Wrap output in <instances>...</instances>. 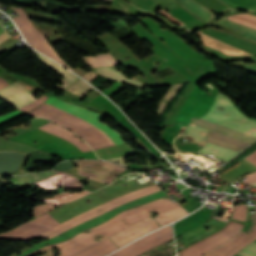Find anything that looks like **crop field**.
I'll use <instances>...</instances> for the list:
<instances>
[{"label":"crop field","mask_w":256,"mask_h":256,"mask_svg":"<svg viewBox=\"0 0 256 256\" xmlns=\"http://www.w3.org/2000/svg\"><path fill=\"white\" fill-rule=\"evenodd\" d=\"M217 100L213 108L205 116H202L192 123L197 124L188 127L186 137L193 138L196 143L204 144V133H208L215 124H217L213 130L234 137L249 144L256 141V120L249 119L243 116L240 111L233 105V103L224 95L218 94ZM191 125V124H190ZM211 130L208 139L224 144L239 151L245 149L249 144L228 137L221 133ZM250 131V134L246 132ZM206 139V145L200 150V152L207 154L211 157L227 162L234 157L239 151L223 146L216 142Z\"/></svg>","instance_id":"1"},{"label":"crop field","mask_w":256,"mask_h":256,"mask_svg":"<svg viewBox=\"0 0 256 256\" xmlns=\"http://www.w3.org/2000/svg\"><path fill=\"white\" fill-rule=\"evenodd\" d=\"M47 104L45 105V103ZM65 126L79 134L94 150L124 144L121 135L99 122L102 115L50 97L41 106L29 112Z\"/></svg>","instance_id":"2"},{"label":"crop field","mask_w":256,"mask_h":256,"mask_svg":"<svg viewBox=\"0 0 256 256\" xmlns=\"http://www.w3.org/2000/svg\"><path fill=\"white\" fill-rule=\"evenodd\" d=\"M161 191V189L155 184L153 186L138 190V191H134L131 193H128L124 196H120L117 197L111 201L106 202L105 204L87 211L83 214H80L64 223H62L61 225H59V222L54 220L50 214L47 212L46 214L26 223L21 225L20 227H18L17 229L7 233V234H3L0 235V239H16V240H28V239H32L35 238V236L40 235L48 230V232L37 236L40 238H47V239H51L54 236L86 221L89 220L95 216H98L102 213H105L121 204L124 203H128L131 202L137 198L155 193Z\"/></svg>","instance_id":"3"},{"label":"crop field","mask_w":256,"mask_h":256,"mask_svg":"<svg viewBox=\"0 0 256 256\" xmlns=\"http://www.w3.org/2000/svg\"><path fill=\"white\" fill-rule=\"evenodd\" d=\"M176 205H178L177 202L172 203L169 199H161L156 202H153V203H150V204H147V205L135 208V209L124 211V212L120 213L119 215H117L112 220H110L109 222L90 229L89 231L91 233H89V234L81 233L67 242H63V243H59V244L51 245L49 247L42 248V249L35 251L26 256H33V255H35L45 249L51 248L53 246H55L61 250L60 256H69L83 248H86L92 244L99 242V241H94V236L97 234L104 236L101 238L103 240V239L133 225L134 223L140 221L141 219L151 216L150 212L152 210L154 212H156L157 214H159V213H161L169 208H172Z\"/></svg>","instance_id":"4"},{"label":"crop field","mask_w":256,"mask_h":256,"mask_svg":"<svg viewBox=\"0 0 256 256\" xmlns=\"http://www.w3.org/2000/svg\"><path fill=\"white\" fill-rule=\"evenodd\" d=\"M21 16L14 18L15 23L21 29L26 40L42 53L56 59L63 65L74 70L56 52L49 41L32 25L22 8L13 7Z\"/></svg>","instance_id":"5"},{"label":"crop field","mask_w":256,"mask_h":256,"mask_svg":"<svg viewBox=\"0 0 256 256\" xmlns=\"http://www.w3.org/2000/svg\"><path fill=\"white\" fill-rule=\"evenodd\" d=\"M164 195H166V193L161 191V192H158V193H155V194L137 199V200H135L131 203L121 205V206H119V207H117V208H115V209H113V210H111V211H109L105 214H102L98 217H95V218L89 220V221H86V222L74 227L73 229H71V230H69V231L51 239V240L39 243V244L34 245V246H40V245L62 242V241L74 236L75 234H77V233H79V232H81V231H83V230H85L89 227H93V226H96V225H99V224L105 222L106 220L110 219L111 217H113L114 215H116L117 213H119L123 210H126V209H129V208L144 204V203L152 201V200H155V199H157L161 196H164Z\"/></svg>","instance_id":"6"},{"label":"crop field","mask_w":256,"mask_h":256,"mask_svg":"<svg viewBox=\"0 0 256 256\" xmlns=\"http://www.w3.org/2000/svg\"><path fill=\"white\" fill-rule=\"evenodd\" d=\"M230 223L232 226H230ZM233 224L236 226L233 227ZM243 227V224L230 221L228 225L221 231L214 233L209 238L202 240L184 251H182L178 256H202L206 252L222 245L223 243L230 240L235 236Z\"/></svg>","instance_id":"7"},{"label":"crop field","mask_w":256,"mask_h":256,"mask_svg":"<svg viewBox=\"0 0 256 256\" xmlns=\"http://www.w3.org/2000/svg\"><path fill=\"white\" fill-rule=\"evenodd\" d=\"M78 173L92 180L111 182L116 175L125 171L126 168L114 163L102 161H77Z\"/></svg>","instance_id":"8"},{"label":"crop field","mask_w":256,"mask_h":256,"mask_svg":"<svg viewBox=\"0 0 256 256\" xmlns=\"http://www.w3.org/2000/svg\"><path fill=\"white\" fill-rule=\"evenodd\" d=\"M173 239L172 228L168 226L138 242L126 247L112 256H139L151 248Z\"/></svg>","instance_id":"9"},{"label":"crop field","mask_w":256,"mask_h":256,"mask_svg":"<svg viewBox=\"0 0 256 256\" xmlns=\"http://www.w3.org/2000/svg\"><path fill=\"white\" fill-rule=\"evenodd\" d=\"M159 227L157 222L152 218H146L133 226L127 228L126 230L119 232L111 237H109L113 242H115L119 247L147 234L151 230Z\"/></svg>","instance_id":"10"},{"label":"crop field","mask_w":256,"mask_h":256,"mask_svg":"<svg viewBox=\"0 0 256 256\" xmlns=\"http://www.w3.org/2000/svg\"><path fill=\"white\" fill-rule=\"evenodd\" d=\"M0 96L18 109L35 101L32 94H30L23 85L17 82L1 90Z\"/></svg>","instance_id":"11"},{"label":"crop field","mask_w":256,"mask_h":256,"mask_svg":"<svg viewBox=\"0 0 256 256\" xmlns=\"http://www.w3.org/2000/svg\"><path fill=\"white\" fill-rule=\"evenodd\" d=\"M205 34H208L216 39H219L223 42H226L230 45H233L237 48H240L244 51H247L251 54H255L256 55V43L240 38L236 35H233L229 32L226 31H222L219 29H215V28H206L203 30H199Z\"/></svg>","instance_id":"12"},{"label":"crop field","mask_w":256,"mask_h":256,"mask_svg":"<svg viewBox=\"0 0 256 256\" xmlns=\"http://www.w3.org/2000/svg\"><path fill=\"white\" fill-rule=\"evenodd\" d=\"M89 193L90 192H88V191H82L80 193L75 192L73 194H70V191H69L67 193H65V192L61 193L53 198L40 199L41 201L46 202V204L35 206L34 218L53 209L54 206L71 202V201H73L79 197H82L84 195H87Z\"/></svg>","instance_id":"13"},{"label":"crop field","mask_w":256,"mask_h":256,"mask_svg":"<svg viewBox=\"0 0 256 256\" xmlns=\"http://www.w3.org/2000/svg\"><path fill=\"white\" fill-rule=\"evenodd\" d=\"M251 241H253L251 238L240 232L225 245L219 247L211 253L215 254L216 256H233L236 252L241 250Z\"/></svg>","instance_id":"14"},{"label":"crop field","mask_w":256,"mask_h":256,"mask_svg":"<svg viewBox=\"0 0 256 256\" xmlns=\"http://www.w3.org/2000/svg\"><path fill=\"white\" fill-rule=\"evenodd\" d=\"M33 53L46 66H48L49 68H51L52 70H54L55 72H57L58 74H60L61 76L64 77L56 85H54V87L66 91L75 81L78 80V78L76 76H74L73 74H71L70 72L65 70L60 65L54 63L53 61H51V60L41 56L40 54H38V53H36L34 51H33Z\"/></svg>","instance_id":"15"},{"label":"crop field","mask_w":256,"mask_h":256,"mask_svg":"<svg viewBox=\"0 0 256 256\" xmlns=\"http://www.w3.org/2000/svg\"><path fill=\"white\" fill-rule=\"evenodd\" d=\"M75 177V176H74ZM71 175L61 173L44 181L37 183L42 188H55L65 184L67 189H79L83 185Z\"/></svg>","instance_id":"16"},{"label":"crop field","mask_w":256,"mask_h":256,"mask_svg":"<svg viewBox=\"0 0 256 256\" xmlns=\"http://www.w3.org/2000/svg\"><path fill=\"white\" fill-rule=\"evenodd\" d=\"M39 129L44 130L49 133H52L54 135H57L65 140L75 144L82 152H87V151L92 150L88 145H86L85 143H82L79 138H74L73 136L75 134H73L72 132H70L67 129L58 127L52 123H48V124L40 127Z\"/></svg>","instance_id":"17"},{"label":"crop field","mask_w":256,"mask_h":256,"mask_svg":"<svg viewBox=\"0 0 256 256\" xmlns=\"http://www.w3.org/2000/svg\"><path fill=\"white\" fill-rule=\"evenodd\" d=\"M96 73L101 74L107 78L113 79L115 81L124 82L139 90L146 86L135 76L131 79L126 78L123 71H117L115 66L96 69Z\"/></svg>","instance_id":"18"},{"label":"crop field","mask_w":256,"mask_h":256,"mask_svg":"<svg viewBox=\"0 0 256 256\" xmlns=\"http://www.w3.org/2000/svg\"><path fill=\"white\" fill-rule=\"evenodd\" d=\"M198 34L202 40V43H204L205 45H207L213 49H216L226 55H251L247 52H244L240 49H237L233 46H230L226 43L216 40L210 36H207L199 31H198Z\"/></svg>","instance_id":"19"},{"label":"crop field","mask_w":256,"mask_h":256,"mask_svg":"<svg viewBox=\"0 0 256 256\" xmlns=\"http://www.w3.org/2000/svg\"><path fill=\"white\" fill-rule=\"evenodd\" d=\"M117 248L119 247L107 238L104 241L83 249L71 256H105Z\"/></svg>","instance_id":"20"},{"label":"crop field","mask_w":256,"mask_h":256,"mask_svg":"<svg viewBox=\"0 0 256 256\" xmlns=\"http://www.w3.org/2000/svg\"><path fill=\"white\" fill-rule=\"evenodd\" d=\"M180 5H182L185 9L202 19L203 21H208L214 16L211 12L200 6L194 0H175Z\"/></svg>","instance_id":"21"},{"label":"crop field","mask_w":256,"mask_h":256,"mask_svg":"<svg viewBox=\"0 0 256 256\" xmlns=\"http://www.w3.org/2000/svg\"><path fill=\"white\" fill-rule=\"evenodd\" d=\"M135 33H137L139 35V37L142 40H145V38H143L134 28H132ZM152 43V42H151ZM159 58H161L164 63L166 65H168L170 68H172L175 72H177L179 75H181L182 77H184L185 79H187L188 81L196 84L197 82H199L200 80L192 77L191 75H189L188 73H186L185 71H183L181 68H179L178 66L174 65L157 47L153 46L150 48Z\"/></svg>","instance_id":"22"},{"label":"crop field","mask_w":256,"mask_h":256,"mask_svg":"<svg viewBox=\"0 0 256 256\" xmlns=\"http://www.w3.org/2000/svg\"><path fill=\"white\" fill-rule=\"evenodd\" d=\"M189 214L184 208H182L180 205L177 207H174L170 210H167L158 216L154 217L158 223L163 226L173 220H176L182 216H185Z\"/></svg>","instance_id":"23"},{"label":"crop field","mask_w":256,"mask_h":256,"mask_svg":"<svg viewBox=\"0 0 256 256\" xmlns=\"http://www.w3.org/2000/svg\"><path fill=\"white\" fill-rule=\"evenodd\" d=\"M217 23H219V24H221L223 26L235 29V30L246 32L248 34L245 36V38L250 39V40L256 42V29H253V28H250V27L238 24L236 22H233V21H230V20H227V19H224V18L219 20Z\"/></svg>","instance_id":"24"},{"label":"crop field","mask_w":256,"mask_h":256,"mask_svg":"<svg viewBox=\"0 0 256 256\" xmlns=\"http://www.w3.org/2000/svg\"><path fill=\"white\" fill-rule=\"evenodd\" d=\"M171 15L182 21L183 23L191 26L194 24L202 23L198 18H196L194 15H192L190 12L186 11L185 9L179 7L175 10H172L170 12Z\"/></svg>","instance_id":"25"},{"label":"crop field","mask_w":256,"mask_h":256,"mask_svg":"<svg viewBox=\"0 0 256 256\" xmlns=\"http://www.w3.org/2000/svg\"><path fill=\"white\" fill-rule=\"evenodd\" d=\"M33 24L46 36L47 39H49L52 42V44L64 41V38L59 33L57 28L51 27V26H48L45 24H35V23H33ZM55 32H58L60 35L55 36V34H54Z\"/></svg>","instance_id":"26"},{"label":"crop field","mask_w":256,"mask_h":256,"mask_svg":"<svg viewBox=\"0 0 256 256\" xmlns=\"http://www.w3.org/2000/svg\"><path fill=\"white\" fill-rule=\"evenodd\" d=\"M228 19L256 28V17L251 15L237 14L235 16L228 17Z\"/></svg>","instance_id":"27"},{"label":"crop field","mask_w":256,"mask_h":256,"mask_svg":"<svg viewBox=\"0 0 256 256\" xmlns=\"http://www.w3.org/2000/svg\"><path fill=\"white\" fill-rule=\"evenodd\" d=\"M28 17L31 18H36V19H41V20H46V21H52V22H57V23H62L59 19L52 17L51 15L39 11H35L32 9L24 8ZM63 24V23H62Z\"/></svg>","instance_id":"28"},{"label":"crop field","mask_w":256,"mask_h":256,"mask_svg":"<svg viewBox=\"0 0 256 256\" xmlns=\"http://www.w3.org/2000/svg\"><path fill=\"white\" fill-rule=\"evenodd\" d=\"M93 89L91 86H89L88 84L84 83L83 81H81L80 79L73 84L68 91L76 94V95H80V96H84L86 94L87 91Z\"/></svg>","instance_id":"29"},{"label":"crop field","mask_w":256,"mask_h":256,"mask_svg":"<svg viewBox=\"0 0 256 256\" xmlns=\"http://www.w3.org/2000/svg\"><path fill=\"white\" fill-rule=\"evenodd\" d=\"M240 214V216H238ZM232 219L246 221V204L235 205Z\"/></svg>","instance_id":"30"},{"label":"crop field","mask_w":256,"mask_h":256,"mask_svg":"<svg viewBox=\"0 0 256 256\" xmlns=\"http://www.w3.org/2000/svg\"><path fill=\"white\" fill-rule=\"evenodd\" d=\"M180 86H181V84L173 85L172 88L169 90V92L166 94V96L163 99V101L166 100V102L164 103L162 101V103L160 105V109H159V115L161 114L164 107L167 105V103L170 101V99L173 97V95L176 93V91L179 89Z\"/></svg>","instance_id":"31"},{"label":"crop field","mask_w":256,"mask_h":256,"mask_svg":"<svg viewBox=\"0 0 256 256\" xmlns=\"http://www.w3.org/2000/svg\"><path fill=\"white\" fill-rule=\"evenodd\" d=\"M98 58L102 64V66H109V65H117L119 64L116 62L110 54H105V55H98Z\"/></svg>","instance_id":"32"},{"label":"crop field","mask_w":256,"mask_h":256,"mask_svg":"<svg viewBox=\"0 0 256 256\" xmlns=\"http://www.w3.org/2000/svg\"><path fill=\"white\" fill-rule=\"evenodd\" d=\"M241 256H256V244L252 243L238 252Z\"/></svg>","instance_id":"33"},{"label":"crop field","mask_w":256,"mask_h":256,"mask_svg":"<svg viewBox=\"0 0 256 256\" xmlns=\"http://www.w3.org/2000/svg\"><path fill=\"white\" fill-rule=\"evenodd\" d=\"M86 66L90 68L101 67L97 57H84Z\"/></svg>","instance_id":"34"},{"label":"crop field","mask_w":256,"mask_h":256,"mask_svg":"<svg viewBox=\"0 0 256 256\" xmlns=\"http://www.w3.org/2000/svg\"><path fill=\"white\" fill-rule=\"evenodd\" d=\"M48 97H44L42 96L39 100L33 102L32 104H30L29 106H26L20 110L24 111V112H29L31 111L32 109L38 107L40 104H42Z\"/></svg>","instance_id":"35"},{"label":"crop field","mask_w":256,"mask_h":256,"mask_svg":"<svg viewBox=\"0 0 256 256\" xmlns=\"http://www.w3.org/2000/svg\"><path fill=\"white\" fill-rule=\"evenodd\" d=\"M21 114H23V113H21V112L15 110V111L10 112V113H8V114L1 115V116H0V123H1V122H5V121H8V120H10V119H12V118H14V117H16V116H18V115H21Z\"/></svg>","instance_id":"36"},{"label":"crop field","mask_w":256,"mask_h":256,"mask_svg":"<svg viewBox=\"0 0 256 256\" xmlns=\"http://www.w3.org/2000/svg\"><path fill=\"white\" fill-rule=\"evenodd\" d=\"M244 232L255 239L256 238V223H252L251 226Z\"/></svg>","instance_id":"37"},{"label":"crop field","mask_w":256,"mask_h":256,"mask_svg":"<svg viewBox=\"0 0 256 256\" xmlns=\"http://www.w3.org/2000/svg\"><path fill=\"white\" fill-rule=\"evenodd\" d=\"M158 13H160V14H162V15L168 17V18H169L173 23H175V24H178V25H181V26L185 25V24H183L182 22H180V21H178L177 19H175V18H174L173 16H171L170 14L164 12L162 9L159 10Z\"/></svg>","instance_id":"38"},{"label":"crop field","mask_w":256,"mask_h":256,"mask_svg":"<svg viewBox=\"0 0 256 256\" xmlns=\"http://www.w3.org/2000/svg\"><path fill=\"white\" fill-rule=\"evenodd\" d=\"M248 179H246V180H244V181H242V182H244V183H246V184H249V183H252V182H256V173H253V174H251V175H248V176H246Z\"/></svg>","instance_id":"39"},{"label":"crop field","mask_w":256,"mask_h":256,"mask_svg":"<svg viewBox=\"0 0 256 256\" xmlns=\"http://www.w3.org/2000/svg\"><path fill=\"white\" fill-rule=\"evenodd\" d=\"M3 32H5L4 30H3V28H2V26H1V24H0V34H2ZM10 36H8L7 34H6V32L5 33H3L2 35H0V43H2L3 41H5L7 38H9Z\"/></svg>","instance_id":"40"},{"label":"crop field","mask_w":256,"mask_h":256,"mask_svg":"<svg viewBox=\"0 0 256 256\" xmlns=\"http://www.w3.org/2000/svg\"><path fill=\"white\" fill-rule=\"evenodd\" d=\"M91 73H92V75H90L89 72H88V73H86L83 77H84L86 80L90 81V80L94 79V78L97 76V74H95V73H93V72H91Z\"/></svg>","instance_id":"41"},{"label":"crop field","mask_w":256,"mask_h":256,"mask_svg":"<svg viewBox=\"0 0 256 256\" xmlns=\"http://www.w3.org/2000/svg\"><path fill=\"white\" fill-rule=\"evenodd\" d=\"M246 158H248L250 161H252L254 164H256V151Z\"/></svg>","instance_id":"42"},{"label":"crop field","mask_w":256,"mask_h":256,"mask_svg":"<svg viewBox=\"0 0 256 256\" xmlns=\"http://www.w3.org/2000/svg\"><path fill=\"white\" fill-rule=\"evenodd\" d=\"M124 158H125V156L124 157H120V158H115V159H108V160L116 161V162H119L121 164H124Z\"/></svg>","instance_id":"43"},{"label":"crop field","mask_w":256,"mask_h":256,"mask_svg":"<svg viewBox=\"0 0 256 256\" xmlns=\"http://www.w3.org/2000/svg\"><path fill=\"white\" fill-rule=\"evenodd\" d=\"M8 85H10V84H8V83H7L6 81H4L3 79H0V89L6 87V86H8Z\"/></svg>","instance_id":"44"},{"label":"crop field","mask_w":256,"mask_h":256,"mask_svg":"<svg viewBox=\"0 0 256 256\" xmlns=\"http://www.w3.org/2000/svg\"><path fill=\"white\" fill-rule=\"evenodd\" d=\"M256 205V203H255ZM249 221L256 222V213L250 214Z\"/></svg>","instance_id":"45"},{"label":"crop field","mask_w":256,"mask_h":256,"mask_svg":"<svg viewBox=\"0 0 256 256\" xmlns=\"http://www.w3.org/2000/svg\"><path fill=\"white\" fill-rule=\"evenodd\" d=\"M42 247H45V246H42ZM39 248H41V247H36V248L30 249V250L26 251L25 253H23V254H21V255H19V256L26 255V254H28V253H30V252L36 250V249H39Z\"/></svg>","instance_id":"46"},{"label":"crop field","mask_w":256,"mask_h":256,"mask_svg":"<svg viewBox=\"0 0 256 256\" xmlns=\"http://www.w3.org/2000/svg\"><path fill=\"white\" fill-rule=\"evenodd\" d=\"M155 57H156V56L153 55V56H151V57L145 59L144 61H142V62H140V63H141V65H142V64H144V63L150 61L151 59L155 58Z\"/></svg>","instance_id":"47"},{"label":"crop field","mask_w":256,"mask_h":256,"mask_svg":"<svg viewBox=\"0 0 256 256\" xmlns=\"http://www.w3.org/2000/svg\"><path fill=\"white\" fill-rule=\"evenodd\" d=\"M167 68H169V67H167L166 65H164V66L158 68L157 71H158V73H159V72H161V71H163V70H165V69H167Z\"/></svg>","instance_id":"48"},{"label":"crop field","mask_w":256,"mask_h":256,"mask_svg":"<svg viewBox=\"0 0 256 256\" xmlns=\"http://www.w3.org/2000/svg\"><path fill=\"white\" fill-rule=\"evenodd\" d=\"M206 256H213V255L209 253V254H207Z\"/></svg>","instance_id":"49"},{"label":"crop field","mask_w":256,"mask_h":256,"mask_svg":"<svg viewBox=\"0 0 256 256\" xmlns=\"http://www.w3.org/2000/svg\"><path fill=\"white\" fill-rule=\"evenodd\" d=\"M251 185V184H250ZM253 185H255L256 186V183H253Z\"/></svg>","instance_id":"50"},{"label":"crop field","mask_w":256,"mask_h":256,"mask_svg":"<svg viewBox=\"0 0 256 256\" xmlns=\"http://www.w3.org/2000/svg\"><path fill=\"white\" fill-rule=\"evenodd\" d=\"M15 128V127H14ZM10 130V129H9Z\"/></svg>","instance_id":"51"}]
</instances>
